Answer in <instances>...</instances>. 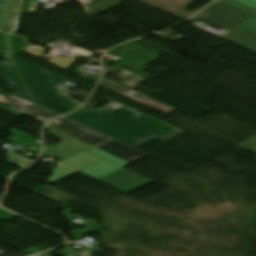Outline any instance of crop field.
Segmentation results:
<instances>
[{
    "label": "crop field",
    "instance_id": "obj_1",
    "mask_svg": "<svg viewBox=\"0 0 256 256\" xmlns=\"http://www.w3.org/2000/svg\"><path fill=\"white\" fill-rule=\"evenodd\" d=\"M49 133L63 141L57 143V148L47 146L44 154L61 158L57 161L48 182L56 183L79 171L89 177L114 187L122 192L130 193L152 181L130 171L113 165L88 152L93 147L51 127H46Z\"/></svg>",
    "mask_w": 256,
    "mask_h": 256
},
{
    "label": "crop field",
    "instance_id": "obj_2",
    "mask_svg": "<svg viewBox=\"0 0 256 256\" xmlns=\"http://www.w3.org/2000/svg\"><path fill=\"white\" fill-rule=\"evenodd\" d=\"M66 117L132 147L152 138L165 141L182 133L117 102L95 111L83 108Z\"/></svg>",
    "mask_w": 256,
    "mask_h": 256
},
{
    "label": "crop field",
    "instance_id": "obj_3",
    "mask_svg": "<svg viewBox=\"0 0 256 256\" xmlns=\"http://www.w3.org/2000/svg\"><path fill=\"white\" fill-rule=\"evenodd\" d=\"M13 59L23 79L27 82L36 103L61 115L78 107L65 101L61 96V93L68 89L64 86L63 78L57 77L46 70L26 63L16 57H13Z\"/></svg>",
    "mask_w": 256,
    "mask_h": 256
},
{
    "label": "crop field",
    "instance_id": "obj_4",
    "mask_svg": "<svg viewBox=\"0 0 256 256\" xmlns=\"http://www.w3.org/2000/svg\"><path fill=\"white\" fill-rule=\"evenodd\" d=\"M104 69L105 71H108L120 78H123L129 74H131L132 72L118 66L116 68H112L110 66L104 65ZM146 81V78L137 74V73H133L132 75H130L129 77L125 78L124 80H122V84L116 83L114 81L108 80L103 78L102 82L100 83V85L113 90L121 95L130 97L156 111H159L165 115H168L169 113H171L172 111H174V109L164 106L144 95H141L139 93H136L134 91H132L133 88L137 87L138 85L144 83Z\"/></svg>",
    "mask_w": 256,
    "mask_h": 256
},
{
    "label": "crop field",
    "instance_id": "obj_5",
    "mask_svg": "<svg viewBox=\"0 0 256 256\" xmlns=\"http://www.w3.org/2000/svg\"><path fill=\"white\" fill-rule=\"evenodd\" d=\"M248 16H250V14L218 0L209 8L202 11L200 14L189 21H194L201 18L230 32Z\"/></svg>",
    "mask_w": 256,
    "mask_h": 256
},
{
    "label": "crop field",
    "instance_id": "obj_6",
    "mask_svg": "<svg viewBox=\"0 0 256 256\" xmlns=\"http://www.w3.org/2000/svg\"><path fill=\"white\" fill-rule=\"evenodd\" d=\"M49 126L55 128L57 130H60L66 134H69L75 138H78L84 142H87L93 146H95L96 144H98L102 141L110 139L109 137H107L101 133H98V132L91 130L87 127H84L80 124H77L65 117L51 122L49 124Z\"/></svg>",
    "mask_w": 256,
    "mask_h": 256
},
{
    "label": "crop field",
    "instance_id": "obj_7",
    "mask_svg": "<svg viewBox=\"0 0 256 256\" xmlns=\"http://www.w3.org/2000/svg\"><path fill=\"white\" fill-rule=\"evenodd\" d=\"M0 103H3L9 107L22 111L38 120L47 122L59 115L34 105L14 94H10L2 89H0Z\"/></svg>",
    "mask_w": 256,
    "mask_h": 256
},
{
    "label": "crop field",
    "instance_id": "obj_8",
    "mask_svg": "<svg viewBox=\"0 0 256 256\" xmlns=\"http://www.w3.org/2000/svg\"><path fill=\"white\" fill-rule=\"evenodd\" d=\"M97 148L106 151L112 155H115L121 159H124L130 163L148 155L144 152H141L135 148H132L128 145H125L121 142H118L114 139H111L99 146Z\"/></svg>",
    "mask_w": 256,
    "mask_h": 256
},
{
    "label": "crop field",
    "instance_id": "obj_9",
    "mask_svg": "<svg viewBox=\"0 0 256 256\" xmlns=\"http://www.w3.org/2000/svg\"><path fill=\"white\" fill-rule=\"evenodd\" d=\"M223 39L256 54V33L248 29L238 26Z\"/></svg>",
    "mask_w": 256,
    "mask_h": 256
},
{
    "label": "crop field",
    "instance_id": "obj_10",
    "mask_svg": "<svg viewBox=\"0 0 256 256\" xmlns=\"http://www.w3.org/2000/svg\"><path fill=\"white\" fill-rule=\"evenodd\" d=\"M1 63L6 71V73L4 74V77L9 87L11 88L12 92L30 101V98L28 97L26 91L24 90L22 83L19 80L16 72L10 70L11 63L9 62V60L6 59Z\"/></svg>",
    "mask_w": 256,
    "mask_h": 256
},
{
    "label": "crop field",
    "instance_id": "obj_11",
    "mask_svg": "<svg viewBox=\"0 0 256 256\" xmlns=\"http://www.w3.org/2000/svg\"><path fill=\"white\" fill-rule=\"evenodd\" d=\"M8 132L11 133L12 135L7 140L11 141L13 145H15V146L29 145L32 147L31 151H33L35 153L39 152L40 146H39V143L36 142L37 140L35 138H33L19 130H16V129H11Z\"/></svg>",
    "mask_w": 256,
    "mask_h": 256
},
{
    "label": "crop field",
    "instance_id": "obj_12",
    "mask_svg": "<svg viewBox=\"0 0 256 256\" xmlns=\"http://www.w3.org/2000/svg\"><path fill=\"white\" fill-rule=\"evenodd\" d=\"M24 0H14L12 10L9 16V20L6 26V32L15 33V29L18 23V19L21 13V9L23 6Z\"/></svg>",
    "mask_w": 256,
    "mask_h": 256
},
{
    "label": "crop field",
    "instance_id": "obj_13",
    "mask_svg": "<svg viewBox=\"0 0 256 256\" xmlns=\"http://www.w3.org/2000/svg\"><path fill=\"white\" fill-rule=\"evenodd\" d=\"M228 4H231L239 9H242L250 14L254 13L255 11L233 1V0H222ZM241 26L245 27V28H248L254 32H256V13L254 15H252L250 18H248L246 21H244Z\"/></svg>",
    "mask_w": 256,
    "mask_h": 256
},
{
    "label": "crop field",
    "instance_id": "obj_14",
    "mask_svg": "<svg viewBox=\"0 0 256 256\" xmlns=\"http://www.w3.org/2000/svg\"><path fill=\"white\" fill-rule=\"evenodd\" d=\"M7 157L5 159L6 163L18 165L19 168H24L27 165L31 164L33 161L24 158L22 155L15 154L13 152L7 151Z\"/></svg>",
    "mask_w": 256,
    "mask_h": 256
},
{
    "label": "crop field",
    "instance_id": "obj_15",
    "mask_svg": "<svg viewBox=\"0 0 256 256\" xmlns=\"http://www.w3.org/2000/svg\"><path fill=\"white\" fill-rule=\"evenodd\" d=\"M11 0H0V30L3 31Z\"/></svg>",
    "mask_w": 256,
    "mask_h": 256
},
{
    "label": "crop field",
    "instance_id": "obj_16",
    "mask_svg": "<svg viewBox=\"0 0 256 256\" xmlns=\"http://www.w3.org/2000/svg\"><path fill=\"white\" fill-rule=\"evenodd\" d=\"M256 11V0H235Z\"/></svg>",
    "mask_w": 256,
    "mask_h": 256
},
{
    "label": "crop field",
    "instance_id": "obj_17",
    "mask_svg": "<svg viewBox=\"0 0 256 256\" xmlns=\"http://www.w3.org/2000/svg\"><path fill=\"white\" fill-rule=\"evenodd\" d=\"M15 216L16 215H13V214H11V213H9V212H7V211H5V210L0 208V219H2V220H9V219H11V218H13Z\"/></svg>",
    "mask_w": 256,
    "mask_h": 256
},
{
    "label": "crop field",
    "instance_id": "obj_18",
    "mask_svg": "<svg viewBox=\"0 0 256 256\" xmlns=\"http://www.w3.org/2000/svg\"><path fill=\"white\" fill-rule=\"evenodd\" d=\"M0 109L3 110V111H5V112H7V113H10V114H12V115H14V116H16V117L23 116V115H21V114L15 112V111H13V110H10V109H8V108L2 106V105H0Z\"/></svg>",
    "mask_w": 256,
    "mask_h": 256
},
{
    "label": "crop field",
    "instance_id": "obj_19",
    "mask_svg": "<svg viewBox=\"0 0 256 256\" xmlns=\"http://www.w3.org/2000/svg\"><path fill=\"white\" fill-rule=\"evenodd\" d=\"M37 256H52V255H50V254L44 252V253H42V254H40V255H37Z\"/></svg>",
    "mask_w": 256,
    "mask_h": 256
},
{
    "label": "crop field",
    "instance_id": "obj_20",
    "mask_svg": "<svg viewBox=\"0 0 256 256\" xmlns=\"http://www.w3.org/2000/svg\"><path fill=\"white\" fill-rule=\"evenodd\" d=\"M62 1H58V0H55L54 2H52L53 4H60Z\"/></svg>",
    "mask_w": 256,
    "mask_h": 256
}]
</instances>
